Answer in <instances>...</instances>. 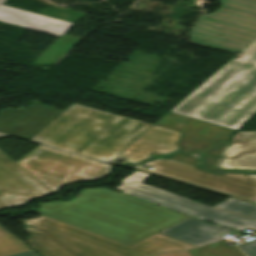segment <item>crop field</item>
I'll use <instances>...</instances> for the list:
<instances>
[{"mask_svg": "<svg viewBox=\"0 0 256 256\" xmlns=\"http://www.w3.org/2000/svg\"><path fill=\"white\" fill-rule=\"evenodd\" d=\"M39 206L41 215L128 246L188 217L102 188L85 189L69 202Z\"/></svg>", "mask_w": 256, "mask_h": 256, "instance_id": "crop-field-1", "label": "crop field"}, {"mask_svg": "<svg viewBox=\"0 0 256 256\" xmlns=\"http://www.w3.org/2000/svg\"><path fill=\"white\" fill-rule=\"evenodd\" d=\"M170 112L239 131L256 115V39Z\"/></svg>", "mask_w": 256, "mask_h": 256, "instance_id": "crop-field-2", "label": "crop field"}, {"mask_svg": "<svg viewBox=\"0 0 256 256\" xmlns=\"http://www.w3.org/2000/svg\"><path fill=\"white\" fill-rule=\"evenodd\" d=\"M151 126L73 104L31 141L110 162Z\"/></svg>", "mask_w": 256, "mask_h": 256, "instance_id": "crop-field-3", "label": "crop field"}, {"mask_svg": "<svg viewBox=\"0 0 256 256\" xmlns=\"http://www.w3.org/2000/svg\"><path fill=\"white\" fill-rule=\"evenodd\" d=\"M24 224L35 226L26 227L27 243L42 256H151L194 248L159 234L128 247L45 216Z\"/></svg>", "mask_w": 256, "mask_h": 256, "instance_id": "crop-field-4", "label": "crop field"}, {"mask_svg": "<svg viewBox=\"0 0 256 256\" xmlns=\"http://www.w3.org/2000/svg\"><path fill=\"white\" fill-rule=\"evenodd\" d=\"M146 165L156 169L151 171L141 165L130 168L252 204L256 202V175L212 174L197 168V159L186 155L169 156Z\"/></svg>", "mask_w": 256, "mask_h": 256, "instance_id": "crop-field-5", "label": "crop field"}, {"mask_svg": "<svg viewBox=\"0 0 256 256\" xmlns=\"http://www.w3.org/2000/svg\"><path fill=\"white\" fill-rule=\"evenodd\" d=\"M220 2V9L200 16L191 30L190 38L195 42L239 52L256 37V2ZM230 22L234 25L229 24Z\"/></svg>", "mask_w": 256, "mask_h": 256, "instance_id": "crop-field-6", "label": "crop field"}, {"mask_svg": "<svg viewBox=\"0 0 256 256\" xmlns=\"http://www.w3.org/2000/svg\"><path fill=\"white\" fill-rule=\"evenodd\" d=\"M17 163L54 193L70 183L102 179L112 169L109 164L42 145Z\"/></svg>", "mask_w": 256, "mask_h": 256, "instance_id": "crop-field-7", "label": "crop field"}, {"mask_svg": "<svg viewBox=\"0 0 256 256\" xmlns=\"http://www.w3.org/2000/svg\"><path fill=\"white\" fill-rule=\"evenodd\" d=\"M153 175L133 172L122 180L116 189L123 193L153 202L183 214L226 227L244 231L246 228L256 229V220L214 209L208 205L170 193L154 186L143 184Z\"/></svg>", "mask_w": 256, "mask_h": 256, "instance_id": "crop-field-8", "label": "crop field"}, {"mask_svg": "<svg viewBox=\"0 0 256 256\" xmlns=\"http://www.w3.org/2000/svg\"><path fill=\"white\" fill-rule=\"evenodd\" d=\"M164 126L184 131L180 143L181 150L199 156L202 160L203 169L214 173H256V171L220 169V165L232 139V134L235 131L177 115Z\"/></svg>", "mask_w": 256, "mask_h": 256, "instance_id": "crop-field-9", "label": "crop field"}, {"mask_svg": "<svg viewBox=\"0 0 256 256\" xmlns=\"http://www.w3.org/2000/svg\"><path fill=\"white\" fill-rule=\"evenodd\" d=\"M53 194L0 150V209Z\"/></svg>", "mask_w": 256, "mask_h": 256, "instance_id": "crop-field-10", "label": "crop field"}, {"mask_svg": "<svg viewBox=\"0 0 256 256\" xmlns=\"http://www.w3.org/2000/svg\"><path fill=\"white\" fill-rule=\"evenodd\" d=\"M63 112L35 102L25 110L0 113V132L30 140Z\"/></svg>", "mask_w": 256, "mask_h": 256, "instance_id": "crop-field-11", "label": "crop field"}, {"mask_svg": "<svg viewBox=\"0 0 256 256\" xmlns=\"http://www.w3.org/2000/svg\"><path fill=\"white\" fill-rule=\"evenodd\" d=\"M180 135V132L153 125L122 152L130 161L139 162L152 152L169 153L177 150Z\"/></svg>", "mask_w": 256, "mask_h": 256, "instance_id": "crop-field-12", "label": "crop field"}, {"mask_svg": "<svg viewBox=\"0 0 256 256\" xmlns=\"http://www.w3.org/2000/svg\"><path fill=\"white\" fill-rule=\"evenodd\" d=\"M0 0V21L60 37L74 23L54 19L33 12L2 5Z\"/></svg>", "mask_w": 256, "mask_h": 256, "instance_id": "crop-field-13", "label": "crop field"}, {"mask_svg": "<svg viewBox=\"0 0 256 256\" xmlns=\"http://www.w3.org/2000/svg\"><path fill=\"white\" fill-rule=\"evenodd\" d=\"M223 232L233 233L235 231L189 217L159 233L200 246L220 240Z\"/></svg>", "mask_w": 256, "mask_h": 256, "instance_id": "crop-field-14", "label": "crop field"}, {"mask_svg": "<svg viewBox=\"0 0 256 256\" xmlns=\"http://www.w3.org/2000/svg\"><path fill=\"white\" fill-rule=\"evenodd\" d=\"M221 168L256 170V132H238Z\"/></svg>", "mask_w": 256, "mask_h": 256, "instance_id": "crop-field-15", "label": "crop field"}, {"mask_svg": "<svg viewBox=\"0 0 256 256\" xmlns=\"http://www.w3.org/2000/svg\"><path fill=\"white\" fill-rule=\"evenodd\" d=\"M193 256H244L235 246L226 248L221 241L193 250H189Z\"/></svg>", "mask_w": 256, "mask_h": 256, "instance_id": "crop-field-16", "label": "crop field"}, {"mask_svg": "<svg viewBox=\"0 0 256 256\" xmlns=\"http://www.w3.org/2000/svg\"><path fill=\"white\" fill-rule=\"evenodd\" d=\"M30 250L28 246L0 225V256Z\"/></svg>", "mask_w": 256, "mask_h": 256, "instance_id": "crop-field-17", "label": "crop field"}, {"mask_svg": "<svg viewBox=\"0 0 256 256\" xmlns=\"http://www.w3.org/2000/svg\"><path fill=\"white\" fill-rule=\"evenodd\" d=\"M214 207L222 208L225 210L237 212L240 214H244V215L256 218V205L245 203V202L235 200L232 198H229V199L215 205Z\"/></svg>", "mask_w": 256, "mask_h": 256, "instance_id": "crop-field-18", "label": "crop field"}, {"mask_svg": "<svg viewBox=\"0 0 256 256\" xmlns=\"http://www.w3.org/2000/svg\"><path fill=\"white\" fill-rule=\"evenodd\" d=\"M238 247L248 256H256V239L244 244H240Z\"/></svg>", "mask_w": 256, "mask_h": 256, "instance_id": "crop-field-19", "label": "crop field"}, {"mask_svg": "<svg viewBox=\"0 0 256 256\" xmlns=\"http://www.w3.org/2000/svg\"><path fill=\"white\" fill-rule=\"evenodd\" d=\"M157 256H192L188 251L181 252V253H168V254H162Z\"/></svg>", "mask_w": 256, "mask_h": 256, "instance_id": "crop-field-20", "label": "crop field"}, {"mask_svg": "<svg viewBox=\"0 0 256 256\" xmlns=\"http://www.w3.org/2000/svg\"><path fill=\"white\" fill-rule=\"evenodd\" d=\"M10 256H39V255L36 254L34 251L30 250V251H26V252L10 255Z\"/></svg>", "mask_w": 256, "mask_h": 256, "instance_id": "crop-field-21", "label": "crop field"}, {"mask_svg": "<svg viewBox=\"0 0 256 256\" xmlns=\"http://www.w3.org/2000/svg\"><path fill=\"white\" fill-rule=\"evenodd\" d=\"M173 116H174V114L168 113V114L158 123V125L163 126V125H164L168 120H170Z\"/></svg>", "mask_w": 256, "mask_h": 256, "instance_id": "crop-field-22", "label": "crop field"}, {"mask_svg": "<svg viewBox=\"0 0 256 256\" xmlns=\"http://www.w3.org/2000/svg\"><path fill=\"white\" fill-rule=\"evenodd\" d=\"M5 136H9V135L0 133V137H5Z\"/></svg>", "mask_w": 256, "mask_h": 256, "instance_id": "crop-field-23", "label": "crop field"}, {"mask_svg": "<svg viewBox=\"0 0 256 256\" xmlns=\"http://www.w3.org/2000/svg\"><path fill=\"white\" fill-rule=\"evenodd\" d=\"M252 1H256V0H252Z\"/></svg>", "mask_w": 256, "mask_h": 256, "instance_id": "crop-field-24", "label": "crop field"}]
</instances>
